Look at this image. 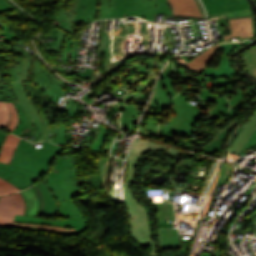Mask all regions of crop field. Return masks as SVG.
I'll return each instance as SVG.
<instances>
[{"label": "crop field", "mask_w": 256, "mask_h": 256, "mask_svg": "<svg viewBox=\"0 0 256 256\" xmlns=\"http://www.w3.org/2000/svg\"><path fill=\"white\" fill-rule=\"evenodd\" d=\"M219 175H220V178H218L217 181L227 183L230 176L232 175V168L228 164L223 163Z\"/></svg>", "instance_id": "crop-field-27"}, {"label": "crop field", "mask_w": 256, "mask_h": 256, "mask_svg": "<svg viewBox=\"0 0 256 256\" xmlns=\"http://www.w3.org/2000/svg\"><path fill=\"white\" fill-rule=\"evenodd\" d=\"M9 84L17 102L25 113L27 121L24 130L19 134V136L22 138H24L25 135L33 137L35 133H38L40 135L34 142H39L46 140L49 133L54 134L57 124H54L53 128H48V123L44 113L36 111L33 107L30 98L22 86V82H9Z\"/></svg>", "instance_id": "crop-field-4"}, {"label": "crop field", "mask_w": 256, "mask_h": 256, "mask_svg": "<svg viewBox=\"0 0 256 256\" xmlns=\"http://www.w3.org/2000/svg\"><path fill=\"white\" fill-rule=\"evenodd\" d=\"M6 134H7V132H4V131L0 130V145H1L2 141H3V139L5 138Z\"/></svg>", "instance_id": "crop-field-33"}, {"label": "crop field", "mask_w": 256, "mask_h": 256, "mask_svg": "<svg viewBox=\"0 0 256 256\" xmlns=\"http://www.w3.org/2000/svg\"><path fill=\"white\" fill-rule=\"evenodd\" d=\"M160 150L166 151L167 155H171V156H177L181 154H191L190 152L182 151V150L175 149L162 144L135 138L133 140L131 150L127 158L128 169H127L126 182H136L135 168L139 160H141V158L146 152H155Z\"/></svg>", "instance_id": "crop-field-7"}, {"label": "crop field", "mask_w": 256, "mask_h": 256, "mask_svg": "<svg viewBox=\"0 0 256 256\" xmlns=\"http://www.w3.org/2000/svg\"><path fill=\"white\" fill-rule=\"evenodd\" d=\"M11 112L10 122L5 130L12 132L18 123V114L12 103H7Z\"/></svg>", "instance_id": "crop-field-26"}, {"label": "crop field", "mask_w": 256, "mask_h": 256, "mask_svg": "<svg viewBox=\"0 0 256 256\" xmlns=\"http://www.w3.org/2000/svg\"><path fill=\"white\" fill-rule=\"evenodd\" d=\"M246 43H248V42H246ZM246 43L220 44L218 49H224L225 52L223 54V57L221 59L218 69L204 68L201 75L212 76V77H235L236 72L233 70V68L230 67V63H229L227 57L230 54V51L235 49V47H237L241 44H246Z\"/></svg>", "instance_id": "crop-field-11"}, {"label": "crop field", "mask_w": 256, "mask_h": 256, "mask_svg": "<svg viewBox=\"0 0 256 256\" xmlns=\"http://www.w3.org/2000/svg\"><path fill=\"white\" fill-rule=\"evenodd\" d=\"M10 119V112L6 103L0 102V128L5 129Z\"/></svg>", "instance_id": "crop-field-25"}, {"label": "crop field", "mask_w": 256, "mask_h": 256, "mask_svg": "<svg viewBox=\"0 0 256 256\" xmlns=\"http://www.w3.org/2000/svg\"><path fill=\"white\" fill-rule=\"evenodd\" d=\"M52 137H53V135H52ZM51 137H48V139L47 140H49Z\"/></svg>", "instance_id": "crop-field-38"}, {"label": "crop field", "mask_w": 256, "mask_h": 256, "mask_svg": "<svg viewBox=\"0 0 256 256\" xmlns=\"http://www.w3.org/2000/svg\"><path fill=\"white\" fill-rule=\"evenodd\" d=\"M14 105L16 106V109L18 110V114H19V124L16 127V129L13 131L14 134L18 135L24 128L26 121H25V116L24 113L22 111V109L20 108V106L18 105V103H14Z\"/></svg>", "instance_id": "crop-field-28"}, {"label": "crop field", "mask_w": 256, "mask_h": 256, "mask_svg": "<svg viewBox=\"0 0 256 256\" xmlns=\"http://www.w3.org/2000/svg\"><path fill=\"white\" fill-rule=\"evenodd\" d=\"M40 190L43 199H44V204L45 208L42 212L41 215H46V216H56L59 215L58 211V204L53 196V194L50 192V190L46 187V185L42 182L41 178L35 183Z\"/></svg>", "instance_id": "crop-field-16"}, {"label": "crop field", "mask_w": 256, "mask_h": 256, "mask_svg": "<svg viewBox=\"0 0 256 256\" xmlns=\"http://www.w3.org/2000/svg\"><path fill=\"white\" fill-rule=\"evenodd\" d=\"M256 145V130L254 131L252 137L249 139V141L247 142V144L245 145L244 149L242 152L246 151L247 149H249L250 147ZM241 152V153H242ZM240 154V153H239Z\"/></svg>", "instance_id": "crop-field-31"}, {"label": "crop field", "mask_w": 256, "mask_h": 256, "mask_svg": "<svg viewBox=\"0 0 256 256\" xmlns=\"http://www.w3.org/2000/svg\"><path fill=\"white\" fill-rule=\"evenodd\" d=\"M2 29L5 31L3 33H0V35H6L4 40L11 41L12 39L16 38L17 35L14 34L11 30L7 28V26L2 27Z\"/></svg>", "instance_id": "crop-field-30"}, {"label": "crop field", "mask_w": 256, "mask_h": 256, "mask_svg": "<svg viewBox=\"0 0 256 256\" xmlns=\"http://www.w3.org/2000/svg\"><path fill=\"white\" fill-rule=\"evenodd\" d=\"M215 19H219V17H216V18H211V19H209V20H215Z\"/></svg>", "instance_id": "crop-field-35"}, {"label": "crop field", "mask_w": 256, "mask_h": 256, "mask_svg": "<svg viewBox=\"0 0 256 256\" xmlns=\"http://www.w3.org/2000/svg\"><path fill=\"white\" fill-rule=\"evenodd\" d=\"M35 65V81L43 92L52 100L54 103L60 98L61 94L67 92L59 84H67L56 75L47 71L38 60H34Z\"/></svg>", "instance_id": "crop-field-9"}, {"label": "crop field", "mask_w": 256, "mask_h": 256, "mask_svg": "<svg viewBox=\"0 0 256 256\" xmlns=\"http://www.w3.org/2000/svg\"><path fill=\"white\" fill-rule=\"evenodd\" d=\"M19 140L20 138L8 133L0 149V162L10 163Z\"/></svg>", "instance_id": "crop-field-19"}, {"label": "crop field", "mask_w": 256, "mask_h": 256, "mask_svg": "<svg viewBox=\"0 0 256 256\" xmlns=\"http://www.w3.org/2000/svg\"><path fill=\"white\" fill-rule=\"evenodd\" d=\"M131 184L123 183L125 205L129 210L130 224L132 226L131 235L132 238L138 243L140 247L150 246V256H157L156 247L152 243L148 217L145 208L141 206L132 194L130 189Z\"/></svg>", "instance_id": "crop-field-5"}, {"label": "crop field", "mask_w": 256, "mask_h": 256, "mask_svg": "<svg viewBox=\"0 0 256 256\" xmlns=\"http://www.w3.org/2000/svg\"><path fill=\"white\" fill-rule=\"evenodd\" d=\"M219 44L214 45L209 50H207L202 55H199L198 57L194 58L190 62H188L183 67L197 73L200 75L202 69L205 67L207 62L210 60V58L213 56L215 50L218 48Z\"/></svg>", "instance_id": "crop-field-20"}, {"label": "crop field", "mask_w": 256, "mask_h": 256, "mask_svg": "<svg viewBox=\"0 0 256 256\" xmlns=\"http://www.w3.org/2000/svg\"><path fill=\"white\" fill-rule=\"evenodd\" d=\"M57 164L56 169L45 176V184L56 197L57 201L67 200L74 198L84 193L78 184L87 182V190L95 194H105L99 176L90 180L81 179L79 177V170L75 156L67 159L56 156Z\"/></svg>", "instance_id": "crop-field-3"}, {"label": "crop field", "mask_w": 256, "mask_h": 256, "mask_svg": "<svg viewBox=\"0 0 256 256\" xmlns=\"http://www.w3.org/2000/svg\"><path fill=\"white\" fill-rule=\"evenodd\" d=\"M71 135L72 134L66 133V125L59 124L52 142L63 146L69 145L74 138Z\"/></svg>", "instance_id": "crop-field-22"}, {"label": "crop field", "mask_w": 256, "mask_h": 256, "mask_svg": "<svg viewBox=\"0 0 256 256\" xmlns=\"http://www.w3.org/2000/svg\"><path fill=\"white\" fill-rule=\"evenodd\" d=\"M230 34L222 35L224 39L238 36L240 38L252 37L254 34L252 17L227 19Z\"/></svg>", "instance_id": "crop-field-12"}, {"label": "crop field", "mask_w": 256, "mask_h": 256, "mask_svg": "<svg viewBox=\"0 0 256 256\" xmlns=\"http://www.w3.org/2000/svg\"><path fill=\"white\" fill-rule=\"evenodd\" d=\"M196 1H197V3L199 4V6H200V8H201V10H202V13H203V17L205 18V16H204V10H203V7H202V5L200 4L199 0H196Z\"/></svg>", "instance_id": "crop-field-34"}, {"label": "crop field", "mask_w": 256, "mask_h": 256, "mask_svg": "<svg viewBox=\"0 0 256 256\" xmlns=\"http://www.w3.org/2000/svg\"><path fill=\"white\" fill-rule=\"evenodd\" d=\"M254 129H256V115L250 120V122L240 132V134L232 144L231 152L237 154L238 152L242 151L245 143L250 138Z\"/></svg>", "instance_id": "crop-field-17"}, {"label": "crop field", "mask_w": 256, "mask_h": 256, "mask_svg": "<svg viewBox=\"0 0 256 256\" xmlns=\"http://www.w3.org/2000/svg\"><path fill=\"white\" fill-rule=\"evenodd\" d=\"M253 17V20H254V16H252ZM254 30H255V24H254ZM254 35H256V30H255V34Z\"/></svg>", "instance_id": "crop-field-36"}, {"label": "crop field", "mask_w": 256, "mask_h": 256, "mask_svg": "<svg viewBox=\"0 0 256 256\" xmlns=\"http://www.w3.org/2000/svg\"><path fill=\"white\" fill-rule=\"evenodd\" d=\"M0 101L16 102V99L9 87V84L5 83V80L1 71H0Z\"/></svg>", "instance_id": "crop-field-23"}, {"label": "crop field", "mask_w": 256, "mask_h": 256, "mask_svg": "<svg viewBox=\"0 0 256 256\" xmlns=\"http://www.w3.org/2000/svg\"><path fill=\"white\" fill-rule=\"evenodd\" d=\"M11 8L6 4L4 0H0V12L9 11Z\"/></svg>", "instance_id": "crop-field-32"}, {"label": "crop field", "mask_w": 256, "mask_h": 256, "mask_svg": "<svg viewBox=\"0 0 256 256\" xmlns=\"http://www.w3.org/2000/svg\"><path fill=\"white\" fill-rule=\"evenodd\" d=\"M7 47L9 50L6 51H13L14 53L22 54L25 57L21 62L9 69L13 81H26L29 74L27 73V69L30 67L31 54L25 49L16 45L9 44Z\"/></svg>", "instance_id": "crop-field-13"}, {"label": "crop field", "mask_w": 256, "mask_h": 256, "mask_svg": "<svg viewBox=\"0 0 256 256\" xmlns=\"http://www.w3.org/2000/svg\"><path fill=\"white\" fill-rule=\"evenodd\" d=\"M42 147L21 139L10 165L0 163V177L8 180L21 190L29 188L41 175L50 171L54 155L63 148L42 142Z\"/></svg>", "instance_id": "crop-field-2"}, {"label": "crop field", "mask_w": 256, "mask_h": 256, "mask_svg": "<svg viewBox=\"0 0 256 256\" xmlns=\"http://www.w3.org/2000/svg\"><path fill=\"white\" fill-rule=\"evenodd\" d=\"M4 24L0 21V28L3 26Z\"/></svg>", "instance_id": "crop-field-37"}, {"label": "crop field", "mask_w": 256, "mask_h": 256, "mask_svg": "<svg viewBox=\"0 0 256 256\" xmlns=\"http://www.w3.org/2000/svg\"><path fill=\"white\" fill-rule=\"evenodd\" d=\"M21 194L24 197L26 203L25 215L39 217L44 204L42 196L37 187L34 185L25 191H21Z\"/></svg>", "instance_id": "crop-field-14"}, {"label": "crop field", "mask_w": 256, "mask_h": 256, "mask_svg": "<svg viewBox=\"0 0 256 256\" xmlns=\"http://www.w3.org/2000/svg\"><path fill=\"white\" fill-rule=\"evenodd\" d=\"M240 121L232 122L230 123L225 129H220L216 135L214 136L213 140L210 141L208 144L204 145L199 151L209 155L212 153L214 150L220 151V146L225 138L227 131L234 125L238 124Z\"/></svg>", "instance_id": "crop-field-21"}, {"label": "crop field", "mask_w": 256, "mask_h": 256, "mask_svg": "<svg viewBox=\"0 0 256 256\" xmlns=\"http://www.w3.org/2000/svg\"><path fill=\"white\" fill-rule=\"evenodd\" d=\"M15 191H20V190L18 188L14 187L9 182L0 178V195L15 192Z\"/></svg>", "instance_id": "crop-field-29"}, {"label": "crop field", "mask_w": 256, "mask_h": 256, "mask_svg": "<svg viewBox=\"0 0 256 256\" xmlns=\"http://www.w3.org/2000/svg\"><path fill=\"white\" fill-rule=\"evenodd\" d=\"M58 204H59L60 215L68 216L69 219L44 220L41 218L16 215L14 221L43 224V225H52V226H61V227H70V228H75L78 233L86 230V228L88 227L86 218L83 215V213L80 211V209L76 206V204L73 202L72 199L59 202Z\"/></svg>", "instance_id": "crop-field-6"}, {"label": "crop field", "mask_w": 256, "mask_h": 256, "mask_svg": "<svg viewBox=\"0 0 256 256\" xmlns=\"http://www.w3.org/2000/svg\"><path fill=\"white\" fill-rule=\"evenodd\" d=\"M244 65L256 77V46L246 52L243 58ZM253 66V68H251Z\"/></svg>", "instance_id": "crop-field-24"}, {"label": "crop field", "mask_w": 256, "mask_h": 256, "mask_svg": "<svg viewBox=\"0 0 256 256\" xmlns=\"http://www.w3.org/2000/svg\"><path fill=\"white\" fill-rule=\"evenodd\" d=\"M67 1H62L53 26H60L72 34L78 23L88 26L102 18L137 15L152 22L154 14L170 15L166 0H78L73 9L65 12Z\"/></svg>", "instance_id": "crop-field-1"}, {"label": "crop field", "mask_w": 256, "mask_h": 256, "mask_svg": "<svg viewBox=\"0 0 256 256\" xmlns=\"http://www.w3.org/2000/svg\"><path fill=\"white\" fill-rule=\"evenodd\" d=\"M173 9L172 15L202 17L200 8L195 0H168Z\"/></svg>", "instance_id": "crop-field-15"}, {"label": "crop field", "mask_w": 256, "mask_h": 256, "mask_svg": "<svg viewBox=\"0 0 256 256\" xmlns=\"http://www.w3.org/2000/svg\"><path fill=\"white\" fill-rule=\"evenodd\" d=\"M13 228L32 230V231H41V232H51V233L77 234L75 229L34 225V224H26V223H18V222H14Z\"/></svg>", "instance_id": "crop-field-18"}, {"label": "crop field", "mask_w": 256, "mask_h": 256, "mask_svg": "<svg viewBox=\"0 0 256 256\" xmlns=\"http://www.w3.org/2000/svg\"><path fill=\"white\" fill-rule=\"evenodd\" d=\"M204 4L208 17L220 16L224 17H239L252 15L247 0H201Z\"/></svg>", "instance_id": "crop-field-8"}, {"label": "crop field", "mask_w": 256, "mask_h": 256, "mask_svg": "<svg viewBox=\"0 0 256 256\" xmlns=\"http://www.w3.org/2000/svg\"><path fill=\"white\" fill-rule=\"evenodd\" d=\"M25 203L20 194L14 193L0 197V226L12 228L15 214L24 215Z\"/></svg>", "instance_id": "crop-field-10"}]
</instances>
